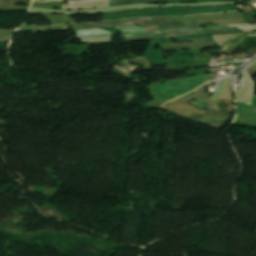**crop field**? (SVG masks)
I'll use <instances>...</instances> for the list:
<instances>
[{"label":"crop field","instance_id":"crop-field-12","mask_svg":"<svg viewBox=\"0 0 256 256\" xmlns=\"http://www.w3.org/2000/svg\"><path fill=\"white\" fill-rule=\"evenodd\" d=\"M207 35L203 36H191V37H180V38H174V39H195V38H205Z\"/></svg>","mask_w":256,"mask_h":256},{"label":"crop field","instance_id":"crop-field-5","mask_svg":"<svg viewBox=\"0 0 256 256\" xmlns=\"http://www.w3.org/2000/svg\"><path fill=\"white\" fill-rule=\"evenodd\" d=\"M144 19L145 18L110 21V22H96V23H89V24H73V26L75 27V30H81V29L103 28V27H112V26L137 25Z\"/></svg>","mask_w":256,"mask_h":256},{"label":"crop field","instance_id":"crop-field-13","mask_svg":"<svg viewBox=\"0 0 256 256\" xmlns=\"http://www.w3.org/2000/svg\"><path fill=\"white\" fill-rule=\"evenodd\" d=\"M195 95H196L195 92H193V93L187 94V95H185V96H183V97H180V98H178V99H179V100H183V99H187V98L193 97V96H195Z\"/></svg>","mask_w":256,"mask_h":256},{"label":"crop field","instance_id":"crop-field-4","mask_svg":"<svg viewBox=\"0 0 256 256\" xmlns=\"http://www.w3.org/2000/svg\"><path fill=\"white\" fill-rule=\"evenodd\" d=\"M198 24L197 21L186 22V23H176V24H151V25H138V26H127V27H119L118 30L121 32H137V31H145V30H156V29H178L185 27H192Z\"/></svg>","mask_w":256,"mask_h":256},{"label":"crop field","instance_id":"crop-field-10","mask_svg":"<svg viewBox=\"0 0 256 256\" xmlns=\"http://www.w3.org/2000/svg\"><path fill=\"white\" fill-rule=\"evenodd\" d=\"M188 53H192V51H178V56H175V57H172V58H173V60L181 59L182 54H188Z\"/></svg>","mask_w":256,"mask_h":256},{"label":"crop field","instance_id":"crop-field-9","mask_svg":"<svg viewBox=\"0 0 256 256\" xmlns=\"http://www.w3.org/2000/svg\"><path fill=\"white\" fill-rule=\"evenodd\" d=\"M180 21L171 22L169 17H156V18H148L142 22V24H151V23H176Z\"/></svg>","mask_w":256,"mask_h":256},{"label":"crop field","instance_id":"crop-field-3","mask_svg":"<svg viewBox=\"0 0 256 256\" xmlns=\"http://www.w3.org/2000/svg\"><path fill=\"white\" fill-rule=\"evenodd\" d=\"M255 83L249 76L247 70L242 74L240 82V91L237 95V101L251 104ZM239 112L243 114H256V96L253 98L252 105L237 103Z\"/></svg>","mask_w":256,"mask_h":256},{"label":"crop field","instance_id":"crop-field-11","mask_svg":"<svg viewBox=\"0 0 256 256\" xmlns=\"http://www.w3.org/2000/svg\"><path fill=\"white\" fill-rule=\"evenodd\" d=\"M193 104H196L199 107L205 108L207 106L208 102L197 100V101L193 102Z\"/></svg>","mask_w":256,"mask_h":256},{"label":"crop field","instance_id":"crop-field-8","mask_svg":"<svg viewBox=\"0 0 256 256\" xmlns=\"http://www.w3.org/2000/svg\"><path fill=\"white\" fill-rule=\"evenodd\" d=\"M78 36L83 35H109L112 34L110 31L101 30V29H93V30H82V31H76Z\"/></svg>","mask_w":256,"mask_h":256},{"label":"crop field","instance_id":"crop-field-2","mask_svg":"<svg viewBox=\"0 0 256 256\" xmlns=\"http://www.w3.org/2000/svg\"><path fill=\"white\" fill-rule=\"evenodd\" d=\"M206 28H208L209 30H206ZM206 28L203 29L202 26H197L193 28L178 29V30H159V31H153V32L121 34V35L124 41H131V40H143V39H151V38H168V37H180V36H190V35H202V34H210V33H218V32L239 31V30L231 29L228 26H206Z\"/></svg>","mask_w":256,"mask_h":256},{"label":"crop field","instance_id":"crop-field-6","mask_svg":"<svg viewBox=\"0 0 256 256\" xmlns=\"http://www.w3.org/2000/svg\"><path fill=\"white\" fill-rule=\"evenodd\" d=\"M159 42H160V39L154 40L151 48L148 50V52L144 56V58H146L147 60H149L150 62H152L155 65L168 63V68H175L174 63L172 62V60H168V59L163 58L164 53L161 50V43H160V50L153 51V48H154L155 44H157Z\"/></svg>","mask_w":256,"mask_h":256},{"label":"crop field","instance_id":"crop-field-14","mask_svg":"<svg viewBox=\"0 0 256 256\" xmlns=\"http://www.w3.org/2000/svg\"><path fill=\"white\" fill-rule=\"evenodd\" d=\"M208 109H212V110H218V106L215 104H211L209 103V105L207 106Z\"/></svg>","mask_w":256,"mask_h":256},{"label":"crop field","instance_id":"crop-field-1","mask_svg":"<svg viewBox=\"0 0 256 256\" xmlns=\"http://www.w3.org/2000/svg\"><path fill=\"white\" fill-rule=\"evenodd\" d=\"M238 5L198 6V7H175V8H143L103 13L105 20L123 19L133 17H156L185 15L191 13H215L234 11Z\"/></svg>","mask_w":256,"mask_h":256},{"label":"crop field","instance_id":"crop-field-7","mask_svg":"<svg viewBox=\"0 0 256 256\" xmlns=\"http://www.w3.org/2000/svg\"><path fill=\"white\" fill-rule=\"evenodd\" d=\"M163 1H199V0H163ZM132 3H163V2L162 0H110V6L126 5V4H132Z\"/></svg>","mask_w":256,"mask_h":256}]
</instances>
